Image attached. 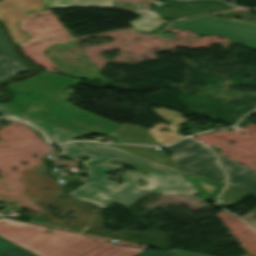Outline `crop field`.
<instances>
[{
	"mask_svg": "<svg viewBox=\"0 0 256 256\" xmlns=\"http://www.w3.org/2000/svg\"><path fill=\"white\" fill-rule=\"evenodd\" d=\"M64 152L59 154L77 159L78 156H89V160L83 162L89 177L84 180L86 184L69 193L68 195L88 201L102 208L114 203L129 207L139 201L147 193H197L179 170L161 165L159 163L126 153L124 151L101 145H93L85 142H71L57 146ZM83 150H86L83 152ZM125 161L135 166L148 170L145 175L127 171L123 173L124 184L119 185L108 181L107 173L117 171L124 166L107 163L110 160ZM138 179L148 182L147 188L138 187ZM157 185H154V184Z\"/></svg>",
	"mask_w": 256,
	"mask_h": 256,
	"instance_id": "crop-field-1",
	"label": "crop field"
},
{
	"mask_svg": "<svg viewBox=\"0 0 256 256\" xmlns=\"http://www.w3.org/2000/svg\"><path fill=\"white\" fill-rule=\"evenodd\" d=\"M47 229L0 219L1 237L38 256H134L144 250L54 229H49L51 233H45Z\"/></svg>",
	"mask_w": 256,
	"mask_h": 256,
	"instance_id": "crop-field-2",
	"label": "crop field"
},
{
	"mask_svg": "<svg viewBox=\"0 0 256 256\" xmlns=\"http://www.w3.org/2000/svg\"><path fill=\"white\" fill-rule=\"evenodd\" d=\"M168 28L193 30L200 35H222L256 49V25L253 24L206 15L181 20Z\"/></svg>",
	"mask_w": 256,
	"mask_h": 256,
	"instance_id": "crop-field-3",
	"label": "crop field"
},
{
	"mask_svg": "<svg viewBox=\"0 0 256 256\" xmlns=\"http://www.w3.org/2000/svg\"><path fill=\"white\" fill-rule=\"evenodd\" d=\"M78 82L80 80L43 72L30 79L10 84L7 88L13 94L11 103L31 109L65 90L67 85Z\"/></svg>",
	"mask_w": 256,
	"mask_h": 256,
	"instance_id": "crop-field-4",
	"label": "crop field"
},
{
	"mask_svg": "<svg viewBox=\"0 0 256 256\" xmlns=\"http://www.w3.org/2000/svg\"><path fill=\"white\" fill-rule=\"evenodd\" d=\"M172 161L184 174L192 173L226 182L224 173L213 160L214 155L202 144L189 138L167 148Z\"/></svg>",
	"mask_w": 256,
	"mask_h": 256,
	"instance_id": "crop-field-5",
	"label": "crop field"
},
{
	"mask_svg": "<svg viewBox=\"0 0 256 256\" xmlns=\"http://www.w3.org/2000/svg\"><path fill=\"white\" fill-rule=\"evenodd\" d=\"M33 111L95 133L107 134L120 125L84 112L57 97L44 103ZM83 116L88 119L83 118Z\"/></svg>",
	"mask_w": 256,
	"mask_h": 256,
	"instance_id": "crop-field-6",
	"label": "crop field"
},
{
	"mask_svg": "<svg viewBox=\"0 0 256 256\" xmlns=\"http://www.w3.org/2000/svg\"><path fill=\"white\" fill-rule=\"evenodd\" d=\"M47 9L41 0H3L0 2V20L3 21L16 46L29 39L26 31L18 28V21L27 11Z\"/></svg>",
	"mask_w": 256,
	"mask_h": 256,
	"instance_id": "crop-field-7",
	"label": "crop field"
},
{
	"mask_svg": "<svg viewBox=\"0 0 256 256\" xmlns=\"http://www.w3.org/2000/svg\"><path fill=\"white\" fill-rule=\"evenodd\" d=\"M220 158L221 164L230 176V186L247 191L256 197V171L240 166L224 157H222L216 148L210 146ZM240 182L239 185L234 182Z\"/></svg>",
	"mask_w": 256,
	"mask_h": 256,
	"instance_id": "crop-field-8",
	"label": "crop field"
},
{
	"mask_svg": "<svg viewBox=\"0 0 256 256\" xmlns=\"http://www.w3.org/2000/svg\"><path fill=\"white\" fill-rule=\"evenodd\" d=\"M153 110L158 115L164 117L165 120L171 122V125L166 126L165 124H158L161 125V127L155 125L152 129L148 130L159 145L173 143L178 139L184 137L183 135L177 133V129L179 125L187 122L188 120L183 118L181 114L177 113L176 111H168L164 108H153ZM162 127H168L171 132H158V130H160ZM153 132H155V134H152Z\"/></svg>",
	"mask_w": 256,
	"mask_h": 256,
	"instance_id": "crop-field-9",
	"label": "crop field"
},
{
	"mask_svg": "<svg viewBox=\"0 0 256 256\" xmlns=\"http://www.w3.org/2000/svg\"><path fill=\"white\" fill-rule=\"evenodd\" d=\"M12 64L13 67H7ZM23 63L14 55L5 38L0 31V81L7 80L9 77L17 75L19 72L30 71L26 66H20ZM10 79V78H9Z\"/></svg>",
	"mask_w": 256,
	"mask_h": 256,
	"instance_id": "crop-field-10",
	"label": "crop field"
},
{
	"mask_svg": "<svg viewBox=\"0 0 256 256\" xmlns=\"http://www.w3.org/2000/svg\"><path fill=\"white\" fill-rule=\"evenodd\" d=\"M107 135L114 137L118 142L158 145L146 128L135 125L122 124Z\"/></svg>",
	"mask_w": 256,
	"mask_h": 256,
	"instance_id": "crop-field-11",
	"label": "crop field"
},
{
	"mask_svg": "<svg viewBox=\"0 0 256 256\" xmlns=\"http://www.w3.org/2000/svg\"><path fill=\"white\" fill-rule=\"evenodd\" d=\"M186 179L196 189L201 198L213 201L225 185L209 179L186 175Z\"/></svg>",
	"mask_w": 256,
	"mask_h": 256,
	"instance_id": "crop-field-12",
	"label": "crop field"
},
{
	"mask_svg": "<svg viewBox=\"0 0 256 256\" xmlns=\"http://www.w3.org/2000/svg\"><path fill=\"white\" fill-rule=\"evenodd\" d=\"M21 119L37 126L38 128H40L42 131H44L48 135V138L53 143L64 142V141L71 140L75 137L81 136V135L66 131L64 129L55 127L53 125L47 124V123L45 125V122L34 119V118L29 117L27 115H25Z\"/></svg>",
	"mask_w": 256,
	"mask_h": 256,
	"instance_id": "crop-field-13",
	"label": "crop field"
},
{
	"mask_svg": "<svg viewBox=\"0 0 256 256\" xmlns=\"http://www.w3.org/2000/svg\"><path fill=\"white\" fill-rule=\"evenodd\" d=\"M115 147L176 168V166L173 164V162L170 160V158L166 155V153L163 150H156L155 148H150V147H140V146H130V145H118Z\"/></svg>",
	"mask_w": 256,
	"mask_h": 256,
	"instance_id": "crop-field-14",
	"label": "crop field"
},
{
	"mask_svg": "<svg viewBox=\"0 0 256 256\" xmlns=\"http://www.w3.org/2000/svg\"><path fill=\"white\" fill-rule=\"evenodd\" d=\"M133 13L138 14L142 17L130 22V25L132 28L138 29V30H144V31H149L158 25L166 22L162 19H160V16L156 14L155 12L144 9V8H139Z\"/></svg>",
	"mask_w": 256,
	"mask_h": 256,
	"instance_id": "crop-field-15",
	"label": "crop field"
},
{
	"mask_svg": "<svg viewBox=\"0 0 256 256\" xmlns=\"http://www.w3.org/2000/svg\"><path fill=\"white\" fill-rule=\"evenodd\" d=\"M42 1V0H41ZM48 8L68 7V6H111L113 0H43Z\"/></svg>",
	"mask_w": 256,
	"mask_h": 256,
	"instance_id": "crop-field-16",
	"label": "crop field"
},
{
	"mask_svg": "<svg viewBox=\"0 0 256 256\" xmlns=\"http://www.w3.org/2000/svg\"><path fill=\"white\" fill-rule=\"evenodd\" d=\"M249 194H246L240 190L227 186L225 191L221 194L220 202L217 204L220 206H231L242 200Z\"/></svg>",
	"mask_w": 256,
	"mask_h": 256,
	"instance_id": "crop-field-17",
	"label": "crop field"
},
{
	"mask_svg": "<svg viewBox=\"0 0 256 256\" xmlns=\"http://www.w3.org/2000/svg\"><path fill=\"white\" fill-rule=\"evenodd\" d=\"M27 115L32 116V117L37 118V119H40V120L45 121V122H47V123L56 125V126H58V127L67 129V130H69V131H72V132L81 134V135L90 134L89 132L83 131V130H81V129L75 128V127H73V126L67 125V124H65V123L59 122V121L54 120V119H51V118L44 117V116H42V115H40V114H37V113H35V112H32V111H30L29 113H27Z\"/></svg>",
	"mask_w": 256,
	"mask_h": 256,
	"instance_id": "crop-field-18",
	"label": "crop field"
},
{
	"mask_svg": "<svg viewBox=\"0 0 256 256\" xmlns=\"http://www.w3.org/2000/svg\"><path fill=\"white\" fill-rule=\"evenodd\" d=\"M0 256H33V255L15 246L12 249L8 250L7 252L1 254Z\"/></svg>",
	"mask_w": 256,
	"mask_h": 256,
	"instance_id": "crop-field-19",
	"label": "crop field"
},
{
	"mask_svg": "<svg viewBox=\"0 0 256 256\" xmlns=\"http://www.w3.org/2000/svg\"><path fill=\"white\" fill-rule=\"evenodd\" d=\"M0 115H1V117L15 119V118L21 116L22 114L0 106Z\"/></svg>",
	"mask_w": 256,
	"mask_h": 256,
	"instance_id": "crop-field-20",
	"label": "crop field"
},
{
	"mask_svg": "<svg viewBox=\"0 0 256 256\" xmlns=\"http://www.w3.org/2000/svg\"><path fill=\"white\" fill-rule=\"evenodd\" d=\"M138 256H177V254H173L165 251H146Z\"/></svg>",
	"mask_w": 256,
	"mask_h": 256,
	"instance_id": "crop-field-21",
	"label": "crop field"
},
{
	"mask_svg": "<svg viewBox=\"0 0 256 256\" xmlns=\"http://www.w3.org/2000/svg\"><path fill=\"white\" fill-rule=\"evenodd\" d=\"M0 105H2V106H4V107H7V108H10V109H13V110H16V111L21 112V113L27 111V110L24 109V108L14 106V105H12V104H10V103H0Z\"/></svg>",
	"mask_w": 256,
	"mask_h": 256,
	"instance_id": "crop-field-22",
	"label": "crop field"
},
{
	"mask_svg": "<svg viewBox=\"0 0 256 256\" xmlns=\"http://www.w3.org/2000/svg\"><path fill=\"white\" fill-rule=\"evenodd\" d=\"M12 246H14V245L0 239V253L5 251L6 249L12 247Z\"/></svg>",
	"mask_w": 256,
	"mask_h": 256,
	"instance_id": "crop-field-23",
	"label": "crop field"
},
{
	"mask_svg": "<svg viewBox=\"0 0 256 256\" xmlns=\"http://www.w3.org/2000/svg\"><path fill=\"white\" fill-rule=\"evenodd\" d=\"M170 251H174V252H178V253H182V254H186V255H191V256H205V255H200V254H196V253H192V252H188V251H184V250H179V249H173Z\"/></svg>",
	"mask_w": 256,
	"mask_h": 256,
	"instance_id": "crop-field-24",
	"label": "crop field"
},
{
	"mask_svg": "<svg viewBox=\"0 0 256 256\" xmlns=\"http://www.w3.org/2000/svg\"><path fill=\"white\" fill-rule=\"evenodd\" d=\"M255 211H256V208L254 209ZM255 214H256V212H255ZM256 222V221H255Z\"/></svg>",
	"mask_w": 256,
	"mask_h": 256,
	"instance_id": "crop-field-25",
	"label": "crop field"
},
{
	"mask_svg": "<svg viewBox=\"0 0 256 256\" xmlns=\"http://www.w3.org/2000/svg\"><path fill=\"white\" fill-rule=\"evenodd\" d=\"M179 256H182V255H179Z\"/></svg>",
	"mask_w": 256,
	"mask_h": 256,
	"instance_id": "crop-field-26",
	"label": "crop field"
},
{
	"mask_svg": "<svg viewBox=\"0 0 256 256\" xmlns=\"http://www.w3.org/2000/svg\"><path fill=\"white\" fill-rule=\"evenodd\" d=\"M1 218V217H0Z\"/></svg>",
	"mask_w": 256,
	"mask_h": 256,
	"instance_id": "crop-field-27",
	"label": "crop field"
}]
</instances>
